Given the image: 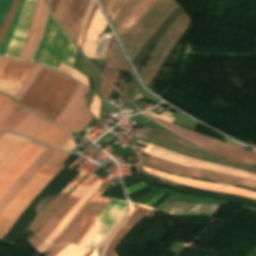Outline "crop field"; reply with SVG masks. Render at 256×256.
Segmentation results:
<instances>
[{"mask_svg": "<svg viewBox=\"0 0 256 256\" xmlns=\"http://www.w3.org/2000/svg\"><path fill=\"white\" fill-rule=\"evenodd\" d=\"M105 68L130 70L128 63L114 37H112L108 46Z\"/></svg>", "mask_w": 256, "mask_h": 256, "instance_id": "crop-field-24", "label": "crop field"}, {"mask_svg": "<svg viewBox=\"0 0 256 256\" xmlns=\"http://www.w3.org/2000/svg\"><path fill=\"white\" fill-rule=\"evenodd\" d=\"M3 135H5V134H3V133H0V138H1Z\"/></svg>", "mask_w": 256, "mask_h": 256, "instance_id": "crop-field-65", "label": "crop field"}, {"mask_svg": "<svg viewBox=\"0 0 256 256\" xmlns=\"http://www.w3.org/2000/svg\"><path fill=\"white\" fill-rule=\"evenodd\" d=\"M158 0H140L116 30L118 37L132 27L140 17Z\"/></svg>", "mask_w": 256, "mask_h": 256, "instance_id": "crop-field-22", "label": "crop field"}, {"mask_svg": "<svg viewBox=\"0 0 256 256\" xmlns=\"http://www.w3.org/2000/svg\"><path fill=\"white\" fill-rule=\"evenodd\" d=\"M109 187L105 184L98 194L92 199L85 208L70 230L56 243H75L78 244L96 218L99 216L106 204L111 200L109 198L100 197L102 193Z\"/></svg>", "mask_w": 256, "mask_h": 256, "instance_id": "crop-field-10", "label": "crop field"}, {"mask_svg": "<svg viewBox=\"0 0 256 256\" xmlns=\"http://www.w3.org/2000/svg\"><path fill=\"white\" fill-rule=\"evenodd\" d=\"M102 188V186H101ZM100 188V189H101ZM99 189V188H98ZM97 189V190H98ZM99 189V190H100ZM95 191V193L89 198V200L84 204V206L78 211V213L72 218V220L69 222V224L65 227V229L61 232V234L55 239V241L47 248L45 251L46 253L51 249V247L68 231V229L71 227V225L74 223V221L78 218V216L81 214V212L84 210V208L87 206V204L90 202V200L95 196V194L99 191Z\"/></svg>", "mask_w": 256, "mask_h": 256, "instance_id": "crop-field-37", "label": "crop field"}, {"mask_svg": "<svg viewBox=\"0 0 256 256\" xmlns=\"http://www.w3.org/2000/svg\"><path fill=\"white\" fill-rule=\"evenodd\" d=\"M35 65L5 58L0 66V91L12 97L28 78Z\"/></svg>", "mask_w": 256, "mask_h": 256, "instance_id": "crop-field-12", "label": "crop field"}, {"mask_svg": "<svg viewBox=\"0 0 256 256\" xmlns=\"http://www.w3.org/2000/svg\"><path fill=\"white\" fill-rule=\"evenodd\" d=\"M38 5H39V0H37V3H36V7H35V11H34L32 23H31V26H30V30H29V33H28L26 42H25V44H24V46H23V48H22V51H21V53H20V56H19V58H18V59H20V60H21L22 57H23L24 51H25V49H26V46H27V44H28V41H29V39H30V37H31L32 31H33V28H34L35 19H36V14H37V10H38Z\"/></svg>", "mask_w": 256, "mask_h": 256, "instance_id": "crop-field-41", "label": "crop field"}, {"mask_svg": "<svg viewBox=\"0 0 256 256\" xmlns=\"http://www.w3.org/2000/svg\"><path fill=\"white\" fill-rule=\"evenodd\" d=\"M119 70H104L103 75L110 80L113 84H115L117 75Z\"/></svg>", "mask_w": 256, "mask_h": 256, "instance_id": "crop-field-46", "label": "crop field"}, {"mask_svg": "<svg viewBox=\"0 0 256 256\" xmlns=\"http://www.w3.org/2000/svg\"><path fill=\"white\" fill-rule=\"evenodd\" d=\"M13 0H0V27L8 13Z\"/></svg>", "mask_w": 256, "mask_h": 256, "instance_id": "crop-field-40", "label": "crop field"}, {"mask_svg": "<svg viewBox=\"0 0 256 256\" xmlns=\"http://www.w3.org/2000/svg\"><path fill=\"white\" fill-rule=\"evenodd\" d=\"M99 179V177L92 173L87 176L80 185L64 200V202L57 208L52 216L47 220L43 227L39 230V234L42 238H46L52 229L57 225L61 218L73 207V205L87 192V190L93 185V183Z\"/></svg>", "mask_w": 256, "mask_h": 256, "instance_id": "crop-field-13", "label": "crop field"}, {"mask_svg": "<svg viewBox=\"0 0 256 256\" xmlns=\"http://www.w3.org/2000/svg\"><path fill=\"white\" fill-rule=\"evenodd\" d=\"M70 155L56 151L46 164L21 189L0 214V240L44 186L63 168L60 164Z\"/></svg>", "mask_w": 256, "mask_h": 256, "instance_id": "crop-field-2", "label": "crop field"}, {"mask_svg": "<svg viewBox=\"0 0 256 256\" xmlns=\"http://www.w3.org/2000/svg\"><path fill=\"white\" fill-rule=\"evenodd\" d=\"M101 178L97 180L94 185L89 189V191L79 200V202L67 213V215L61 220V222L54 228V230L45 239L51 244V242L59 235L71 218L76 214V212L83 206V204L88 200V198L94 193V191L102 184Z\"/></svg>", "mask_w": 256, "mask_h": 256, "instance_id": "crop-field-23", "label": "crop field"}, {"mask_svg": "<svg viewBox=\"0 0 256 256\" xmlns=\"http://www.w3.org/2000/svg\"><path fill=\"white\" fill-rule=\"evenodd\" d=\"M174 0H159L119 39L130 59L138 53L160 24L177 8Z\"/></svg>", "mask_w": 256, "mask_h": 256, "instance_id": "crop-field-3", "label": "crop field"}, {"mask_svg": "<svg viewBox=\"0 0 256 256\" xmlns=\"http://www.w3.org/2000/svg\"><path fill=\"white\" fill-rule=\"evenodd\" d=\"M50 244H48L47 242H43L39 247H37L35 250L38 252V253H42Z\"/></svg>", "mask_w": 256, "mask_h": 256, "instance_id": "crop-field-59", "label": "crop field"}, {"mask_svg": "<svg viewBox=\"0 0 256 256\" xmlns=\"http://www.w3.org/2000/svg\"><path fill=\"white\" fill-rule=\"evenodd\" d=\"M88 171L82 170L73 181L61 192V194L52 202V204L45 210V212L40 216V218L35 222V224L30 228L32 231H36L38 227L42 224V222L46 219V217L51 213V211L57 206V204L62 200V198L70 191V189L77 184L81 178L87 173Z\"/></svg>", "mask_w": 256, "mask_h": 256, "instance_id": "crop-field-28", "label": "crop field"}, {"mask_svg": "<svg viewBox=\"0 0 256 256\" xmlns=\"http://www.w3.org/2000/svg\"><path fill=\"white\" fill-rule=\"evenodd\" d=\"M92 248H82L76 245L68 244L61 252L56 256H84Z\"/></svg>", "mask_w": 256, "mask_h": 256, "instance_id": "crop-field-33", "label": "crop field"}, {"mask_svg": "<svg viewBox=\"0 0 256 256\" xmlns=\"http://www.w3.org/2000/svg\"><path fill=\"white\" fill-rule=\"evenodd\" d=\"M102 247H94L88 254L85 256H99Z\"/></svg>", "mask_w": 256, "mask_h": 256, "instance_id": "crop-field-54", "label": "crop field"}, {"mask_svg": "<svg viewBox=\"0 0 256 256\" xmlns=\"http://www.w3.org/2000/svg\"><path fill=\"white\" fill-rule=\"evenodd\" d=\"M58 2H59V0H52L51 1L50 7H51L53 13H54V11L56 9V6H57Z\"/></svg>", "mask_w": 256, "mask_h": 256, "instance_id": "crop-field-61", "label": "crop field"}, {"mask_svg": "<svg viewBox=\"0 0 256 256\" xmlns=\"http://www.w3.org/2000/svg\"><path fill=\"white\" fill-rule=\"evenodd\" d=\"M71 138V134L64 129H61L51 123H48L35 137L34 139L55 145L60 147L68 139Z\"/></svg>", "mask_w": 256, "mask_h": 256, "instance_id": "crop-field-21", "label": "crop field"}, {"mask_svg": "<svg viewBox=\"0 0 256 256\" xmlns=\"http://www.w3.org/2000/svg\"><path fill=\"white\" fill-rule=\"evenodd\" d=\"M113 87L109 85L104 79L102 80L101 85V95L103 98L108 99Z\"/></svg>", "mask_w": 256, "mask_h": 256, "instance_id": "crop-field-43", "label": "crop field"}, {"mask_svg": "<svg viewBox=\"0 0 256 256\" xmlns=\"http://www.w3.org/2000/svg\"><path fill=\"white\" fill-rule=\"evenodd\" d=\"M67 0H60L59 4H58V7L54 13L56 19L59 21V18H60V15H61V12L63 10V7L65 5Z\"/></svg>", "mask_w": 256, "mask_h": 256, "instance_id": "crop-field-50", "label": "crop field"}, {"mask_svg": "<svg viewBox=\"0 0 256 256\" xmlns=\"http://www.w3.org/2000/svg\"><path fill=\"white\" fill-rule=\"evenodd\" d=\"M24 2H25V0H20L18 8H17V11H16L15 16H14V18L12 20V23L10 25V28H9V30H8V32H7V34H6L5 38H4L1 46H0V55H2V56L4 55L8 45H9L11 39H12V37H13L14 31H15V27H16L17 21L19 19L20 13L22 11Z\"/></svg>", "mask_w": 256, "mask_h": 256, "instance_id": "crop-field-31", "label": "crop field"}, {"mask_svg": "<svg viewBox=\"0 0 256 256\" xmlns=\"http://www.w3.org/2000/svg\"><path fill=\"white\" fill-rule=\"evenodd\" d=\"M47 12H48V8H47L45 0H44L38 31H37L36 37L33 41V44H32V46L29 50V53H28L27 58H26L25 61H28V62L32 61L34 52H35V50H36V48H37V46L40 42V39L43 35V30H44V27H45V22H46V17H47Z\"/></svg>", "mask_w": 256, "mask_h": 256, "instance_id": "crop-field-30", "label": "crop field"}, {"mask_svg": "<svg viewBox=\"0 0 256 256\" xmlns=\"http://www.w3.org/2000/svg\"><path fill=\"white\" fill-rule=\"evenodd\" d=\"M126 211L119 217V219L112 225V227L107 231V233L104 235V237L100 240V242L97 244L98 245H103L105 240L107 239L108 235L111 233V231L117 226V224L123 219L125 216Z\"/></svg>", "mask_w": 256, "mask_h": 256, "instance_id": "crop-field-47", "label": "crop field"}, {"mask_svg": "<svg viewBox=\"0 0 256 256\" xmlns=\"http://www.w3.org/2000/svg\"><path fill=\"white\" fill-rule=\"evenodd\" d=\"M168 111V110H167ZM164 112V113H162V114H160V115H156V114H154L152 111H150V112H146L147 114H149V115H151V116H154V117H156V118H159V119H163V120H165V121H167V122H169V123H171L175 118L174 117H172V116H170L171 115V113H169V112Z\"/></svg>", "mask_w": 256, "mask_h": 256, "instance_id": "crop-field-44", "label": "crop field"}, {"mask_svg": "<svg viewBox=\"0 0 256 256\" xmlns=\"http://www.w3.org/2000/svg\"><path fill=\"white\" fill-rule=\"evenodd\" d=\"M67 244L61 246H54L48 256H55L60 250H62Z\"/></svg>", "mask_w": 256, "mask_h": 256, "instance_id": "crop-field-52", "label": "crop field"}, {"mask_svg": "<svg viewBox=\"0 0 256 256\" xmlns=\"http://www.w3.org/2000/svg\"><path fill=\"white\" fill-rule=\"evenodd\" d=\"M77 85L78 82L44 67L19 103L53 121L66 107Z\"/></svg>", "mask_w": 256, "mask_h": 256, "instance_id": "crop-field-1", "label": "crop field"}, {"mask_svg": "<svg viewBox=\"0 0 256 256\" xmlns=\"http://www.w3.org/2000/svg\"><path fill=\"white\" fill-rule=\"evenodd\" d=\"M46 123L30 113L13 132L33 138Z\"/></svg>", "mask_w": 256, "mask_h": 256, "instance_id": "crop-field-27", "label": "crop field"}, {"mask_svg": "<svg viewBox=\"0 0 256 256\" xmlns=\"http://www.w3.org/2000/svg\"><path fill=\"white\" fill-rule=\"evenodd\" d=\"M42 3H43V0L40 1V5H39V10H38V15H37V19H36L35 28H34V31H33L32 37H31V40H30V42H29V44H28V46H27L26 52H25L24 57H23L22 60H25L26 54H27V52H28V50H29V48H30V45H31L32 40H33V37H34V35H35V33H36L37 25H38V19H39V14H40V10H41V7H42Z\"/></svg>", "mask_w": 256, "mask_h": 256, "instance_id": "crop-field-48", "label": "crop field"}, {"mask_svg": "<svg viewBox=\"0 0 256 256\" xmlns=\"http://www.w3.org/2000/svg\"><path fill=\"white\" fill-rule=\"evenodd\" d=\"M130 203V212L128 217L123 221V223L118 227V229L111 236L108 241L102 256H112L115 246L119 241L126 235V233L132 229L138 221L148 212L149 207L138 205L135 209Z\"/></svg>", "mask_w": 256, "mask_h": 256, "instance_id": "crop-field-16", "label": "crop field"}, {"mask_svg": "<svg viewBox=\"0 0 256 256\" xmlns=\"http://www.w3.org/2000/svg\"><path fill=\"white\" fill-rule=\"evenodd\" d=\"M47 148L30 141L0 172V198L26 170V168Z\"/></svg>", "mask_w": 256, "mask_h": 256, "instance_id": "crop-field-7", "label": "crop field"}, {"mask_svg": "<svg viewBox=\"0 0 256 256\" xmlns=\"http://www.w3.org/2000/svg\"><path fill=\"white\" fill-rule=\"evenodd\" d=\"M99 108H100V100L96 95H94V99H93L90 110L95 115V117L97 119H98V115H99Z\"/></svg>", "mask_w": 256, "mask_h": 256, "instance_id": "crop-field-45", "label": "crop field"}, {"mask_svg": "<svg viewBox=\"0 0 256 256\" xmlns=\"http://www.w3.org/2000/svg\"><path fill=\"white\" fill-rule=\"evenodd\" d=\"M142 168H143V170L148 171L152 174L167 178L172 181L182 183L184 185L198 187V188L207 189V190L218 191V192L237 194V195L256 199V192L243 190V189H239V188H234V187H229V186H223V185H217V184H212V183H206V182H200V181L179 178V177L171 176L164 172L152 170V169H149V168H146L143 166H142Z\"/></svg>", "mask_w": 256, "mask_h": 256, "instance_id": "crop-field-18", "label": "crop field"}, {"mask_svg": "<svg viewBox=\"0 0 256 256\" xmlns=\"http://www.w3.org/2000/svg\"><path fill=\"white\" fill-rule=\"evenodd\" d=\"M44 66L42 65H36L35 69L32 71L31 75L27 79V81L24 83V85L17 91L16 95L12 97L17 102L21 98V96L26 92V90L30 87V85L33 83L36 76L39 74V72L42 70Z\"/></svg>", "mask_w": 256, "mask_h": 256, "instance_id": "crop-field-34", "label": "crop field"}, {"mask_svg": "<svg viewBox=\"0 0 256 256\" xmlns=\"http://www.w3.org/2000/svg\"><path fill=\"white\" fill-rule=\"evenodd\" d=\"M191 21L188 16L181 14L171 28L161 39L159 45L154 48L148 62L140 71L139 76L147 86L157 75L160 67L171 52L172 48L189 27Z\"/></svg>", "mask_w": 256, "mask_h": 256, "instance_id": "crop-field-5", "label": "crop field"}, {"mask_svg": "<svg viewBox=\"0 0 256 256\" xmlns=\"http://www.w3.org/2000/svg\"><path fill=\"white\" fill-rule=\"evenodd\" d=\"M29 140L6 134L0 139V171Z\"/></svg>", "mask_w": 256, "mask_h": 256, "instance_id": "crop-field-20", "label": "crop field"}, {"mask_svg": "<svg viewBox=\"0 0 256 256\" xmlns=\"http://www.w3.org/2000/svg\"><path fill=\"white\" fill-rule=\"evenodd\" d=\"M126 210V202L112 199L99 218L96 220V224H100L103 227L93 237L87 247L96 246L102 236L111 227V225L118 219V217Z\"/></svg>", "mask_w": 256, "mask_h": 256, "instance_id": "crop-field-19", "label": "crop field"}, {"mask_svg": "<svg viewBox=\"0 0 256 256\" xmlns=\"http://www.w3.org/2000/svg\"><path fill=\"white\" fill-rule=\"evenodd\" d=\"M94 3H95V0H91L89 5H88V8L86 10V13H85V16H84V20H83V23H82V26H81L78 42H77V45L79 47L81 45V41H82V37H83V34H84L85 26H86V23L88 21V18H89V15L91 13V10L93 8Z\"/></svg>", "mask_w": 256, "mask_h": 256, "instance_id": "crop-field-39", "label": "crop field"}, {"mask_svg": "<svg viewBox=\"0 0 256 256\" xmlns=\"http://www.w3.org/2000/svg\"><path fill=\"white\" fill-rule=\"evenodd\" d=\"M139 0H129L125 6L122 8L120 13L117 15L115 20L113 21L112 25L116 28L119 26V24L122 22V20L125 18V16L128 14V12L133 8V6L138 2ZM136 6V5H135ZM134 6V7H135Z\"/></svg>", "mask_w": 256, "mask_h": 256, "instance_id": "crop-field-35", "label": "crop field"}, {"mask_svg": "<svg viewBox=\"0 0 256 256\" xmlns=\"http://www.w3.org/2000/svg\"><path fill=\"white\" fill-rule=\"evenodd\" d=\"M18 2H19V0H15L14 1V3L12 5V7H11V9H10V11H9V13H8V15H7V17H6L2 27H1V29H0V43H1L5 33L7 31V29L9 27L10 23H11V20H12V18L14 16L15 11H16Z\"/></svg>", "mask_w": 256, "mask_h": 256, "instance_id": "crop-field-36", "label": "crop field"}, {"mask_svg": "<svg viewBox=\"0 0 256 256\" xmlns=\"http://www.w3.org/2000/svg\"><path fill=\"white\" fill-rule=\"evenodd\" d=\"M57 149L48 147L33 164L20 176L14 185L0 200V213L9 201L20 191V189L33 177V175L44 165Z\"/></svg>", "mask_w": 256, "mask_h": 256, "instance_id": "crop-field-17", "label": "crop field"}, {"mask_svg": "<svg viewBox=\"0 0 256 256\" xmlns=\"http://www.w3.org/2000/svg\"><path fill=\"white\" fill-rule=\"evenodd\" d=\"M140 158L143 164L156 167L162 170H166L169 172H173L181 175H187V176H194V177H201V178L213 179L218 181L230 182V183L238 184L251 189H256V182L249 181L243 178L221 174L217 172H212V171L190 168V167H186L180 164H176V163L162 160L152 156H149L148 158L140 156Z\"/></svg>", "mask_w": 256, "mask_h": 256, "instance_id": "crop-field-9", "label": "crop field"}, {"mask_svg": "<svg viewBox=\"0 0 256 256\" xmlns=\"http://www.w3.org/2000/svg\"><path fill=\"white\" fill-rule=\"evenodd\" d=\"M128 0H123L121 2V4L118 6V8L116 9V11L113 13V15L111 16V18L109 19L110 22L112 23V21L114 20V18L116 17V15L118 14L119 10L121 9V7L127 2Z\"/></svg>", "mask_w": 256, "mask_h": 256, "instance_id": "crop-field-58", "label": "crop field"}, {"mask_svg": "<svg viewBox=\"0 0 256 256\" xmlns=\"http://www.w3.org/2000/svg\"><path fill=\"white\" fill-rule=\"evenodd\" d=\"M88 3L89 0H68L59 21L75 43Z\"/></svg>", "mask_w": 256, "mask_h": 256, "instance_id": "crop-field-14", "label": "crop field"}, {"mask_svg": "<svg viewBox=\"0 0 256 256\" xmlns=\"http://www.w3.org/2000/svg\"><path fill=\"white\" fill-rule=\"evenodd\" d=\"M99 227H100L99 225L93 224V226L90 228V230L86 233V235L80 241L79 245L86 247V245L89 243V241L91 240L93 235L96 233V231L99 229Z\"/></svg>", "mask_w": 256, "mask_h": 256, "instance_id": "crop-field-42", "label": "crop field"}, {"mask_svg": "<svg viewBox=\"0 0 256 256\" xmlns=\"http://www.w3.org/2000/svg\"><path fill=\"white\" fill-rule=\"evenodd\" d=\"M30 112L22 108L20 105L14 106L8 114L0 121V130L12 132L16 126L29 114Z\"/></svg>", "mask_w": 256, "mask_h": 256, "instance_id": "crop-field-26", "label": "crop field"}, {"mask_svg": "<svg viewBox=\"0 0 256 256\" xmlns=\"http://www.w3.org/2000/svg\"><path fill=\"white\" fill-rule=\"evenodd\" d=\"M136 142L146 144L141 141H136ZM146 145H148V146L145 148L144 153H147V154H151V155H154V156H157V157L169 160V161H173L176 163L186 165V166L208 169V170L231 174V175H235V176H239V177H243L246 179L256 181V174H252V173L245 172L242 170H238V169H234V168H230V167H226V166H222V165H218V164H214V163L205 162V161H202L199 159L183 156V155L177 154L175 152L163 149V148L155 146V145H149V144H146Z\"/></svg>", "mask_w": 256, "mask_h": 256, "instance_id": "crop-field-11", "label": "crop field"}, {"mask_svg": "<svg viewBox=\"0 0 256 256\" xmlns=\"http://www.w3.org/2000/svg\"><path fill=\"white\" fill-rule=\"evenodd\" d=\"M88 90L79 83L70 103L53 122L80 134L93 118L84 100Z\"/></svg>", "mask_w": 256, "mask_h": 256, "instance_id": "crop-field-8", "label": "crop field"}, {"mask_svg": "<svg viewBox=\"0 0 256 256\" xmlns=\"http://www.w3.org/2000/svg\"><path fill=\"white\" fill-rule=\"evenodd\" d=\"M44 240L39 237L37 234L33 237V239L29 242L32 244L35 248L39 246Z\"/></svg>", "mask_w": 256, "mask_h": 256, "instance_id": "crop-field-51", "label": "crop field"}, {"mask_svg": "<svg viewBox=\"0 0 256 256\" xmlns=\"http://www.w3.org/2000/svg\"><path fill=\"white\" fill-rule=\"evenodd\" d=\"M144 186H147V185L143 182V183L138 184V185H136V186L127 188V189H126L127 194H129V193H131V192H133V191H136V190H138V189H140V188H142V187H144Z\"/></svg>", "mask_w": 256, "mask_h": 256, "instance_id": "crop-field-55", "label": "crop field"}, {"mask_svg": "<svg viewBox=\"0 0 256 256\" xmlns=\"http://www.w3.org/2000/svg\"><path fill=\"white\" fill-rule=\"evenodd\" d=\"M81 158H82V157L78 158L74 163H72V164L70 165V168H71L73 165H75Z\"/></svg>", "mask_w": 256, "mask_h": 256, "instance_id": "crop-field-62", "label": "crop field"}, {"mask_svg": "<svg viewBox=\"0 0 256 256\" xmlns=\"http://www.w3.org/2000/svg\"><path fill=\"white\" fill-rule=\"evenodd\" d=\"M105 25H106V22L101 14L99 8H97V10L93 16V19H92V22H91V25H90V28H89V31H88V34H87L85 40L96 41L99 34L103 32Z\"/></svg>", "mask_w": 256, "mask_h": 256, "instance_id": "crop-field-29", "label": "crop field"}, {"mask_svg": "<svg viewBox=\"0 0 256 256\" xmlns=\"http://www.w3.org/2000/svg\"><path fill=\"white\" fill-rule=\"evenodd\" d=\"M154 120L229 162L237 163L240 165L256 164V161H254L256 159V153L254 152H249L247 150L229 146L204 136L189 133L162 120Z\"/></svg>", "mask_w": 256, "mask_h": 256, "instance_id": "crop-field-6", "label": "crop field"}, {"mask_svg": "<svg viewBox=\"0 0 256 256\" xmlns=\"http://www.w3.org/2000/svg\"><path fill=\"white\" fill-rule=\"evenodd\" d=\"M35 3L36 0H26L14 37L5 53V56L16 59L18 58L19 52L25 42L29 30Z\"/></svg>", "mask_w": 256, "mask_h": 256, "instance_id": "crop-field-15", "label": "crop field"}, {"mask_svg": "<svg viewBox=\"0 0 256 256\" xmlns=\"http://www.w3.org/2000/svg\"><path fill=\"white\" fill-rule=\"evenodd\" d=\"M11 99L0 94V110L10 101Z\"/></svg>", "mask_w": 256, "mask_h": 256, "instance_id": "crop-field-57", "label": "crop field"}, {"mask_svg": "<svg viewBox=\"0 0 256 256\" xmlns=\"http://www.w3.org/2000/svg\"><path fill=\"white\" fill-rule=\"evenodd\" d=\"M163 194H165V192H161L159 195H157L155 198H153L151 201H149L146 205L150 206L152 205L154 202H156Z\"/></svg>", "mask_w": 256, "mask_h": 256, "instance_id": "crop-field-60", "label": "crop field"}, {"mask_svg": "<svg viewBox=\"0 0 256 256\" xmlns=\"http://www.w3.org/2000/svg\"><path fill=\"white\" fill-rule=\"evenodd\" d=\"M122 0H99L108 19Z\"/></svg>", "mask_w": 256, "mask_h": 256, "instance_id": "crop-field-38", "label": "crop field"}, {"mask_svg": "<svg viewBox=\"0 0 256 256\" xmlns=\"http://www.w3.org/2000/svg\"><path fill=\"white\" fill-rule=\"evenodd\" d=\"M74 147H75V145H74L72 138L69 141H67L63 146H61V148H64L69 151H71Z\"/></svg>", "mask_w": 256, "mask_h": 256, "instance_id": "crop-field-53", "label": "crop field"}, {"mask_svg": "<svg viewBox=\"0 0 256 256\" xmlns=\"http://www.w3.org/2000/svg\"><path fill=\"white\" fill-rule=\"evenodd\" d=\"M82 169H83V168L80 166L79 169H78V171H81Z\"/></svg>", "mask_w": 256, "mask_h": 256, "instance_id": "crop-field-64", "label": "crop field"}, {"mask_svg": "<svg viewBox=\"0 0 256 256\" xmlns=\"http://www.w3.org/2000/svg\"><path fill=\"white\" fill-rule=\"evenodd\" d=\"M75 46L48 12L44 36L32 62L43 63L56 70L59 62L73 64Z\"/></svg>", "mask_w": 256, "mask_h": 256, "instance_id": "crop-field-4", "label": "crop field"}, {"mask_svg": "<svg viewBox=\"0 0 256 256\" xmlns=\"http://www.w3.org/2000/svg\"><path fill=\"white\" fill-rule=\"evenodd\" d=\"M51 0H49V3H50Z\"/></svg>", "mask_w": 256, "mask_h": 256, "instance_id": "crop-field-66", "label": "crop field"}, {"mask_svg": "<svg viewBox=\"0 0 256 256\" xmlns=\"http://www.w3.org/2000/svg\"><path fill=\"white\" fill-rule=\"evenodd\" d=\"M3 60H4V57H0V64L2 63Z\"/></svg>", "mask_w": 256, "mask_h": 256, "instance_id": "crop-field-63", "label": "crop field"}, {"mask_svg": "<svg viewBox=\"0 0 256 256\" xmlns=\"http://www.w3.org/2000/svg\"><path fill=\"white\" fill-rule=\"evenodd\" d=\"M16 104L14 101H10L0 112V120L6 115V113Z\"/></svg>", "mask_w": 256, "mask_h": 256, "instance_id": "crop-field-49", "label": "crop field"}, {"mask_svg": "<svg viewBox=\"0 0 256 256\" xmlns=\"http://www.w3.org/2000/svg\"><path fill=\"white\" fill-rule=\"evenodd\" d=\"M96 7H97V4H95V6H94V8H93V10H92L91 16H90V18H89V21H88V23H87L86 30H85V34H84L83 41H82L81 49L83 48L84 39H85V36H86V34H87V31H88V28H89V25H90V22H91V19H92V16H93V13H94Z\"/></svg>", "mask_w": 256, "mask_h": 256, "instance_id": "crop-field-56", "label": "crop field"}, {"mask_svg": "<svg viewBox=\"0 0 256 256\" xmlns=\"http://www.w3.org/2000/svg\"><path fill=\"white\" fill-rule=\"evenodd\" d=\"M100 37V36H99ZM110 33L102 34L98 42L85 41L83 51L88 58L104 60Z\"/></svg>", "mask_w": 256, "mask_h": 256, "instance_id": "crop-field-25", "label": "crop field"}, {"mask_svg": "<svg viewBox=\"0 0 256 256\" xmlns=\"http://www.w3.org/2000/svg\"><path fill=\"white\" fill-rule=\"evenodd\" d=\"M57 71L59 72H62L66 75H68L69 77L85 84L86 86L89 87V81H88V78L86 76H84L82 73H80L79 71L77 70H74L70 67H66L62 64H60L59 68L57 69Z\"/></svg>", "mask_w": 256, "mask_h": 256, "instance_id": "crop-field-32", "label": "crop field"}]
</instances>
